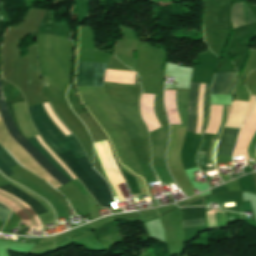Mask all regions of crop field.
Segmentation results:
<instances>
[{"label": "crop field", "instance_id": "8a807250", "mask_svg": "<svg viewBox=\"0 0 256 256\" xmlns=\"http://www.w3.org/2000/svg\"><path fill=\"white\" fill-rule=\"evenodd\" d=\"M48 113L54 122L59 126V128L64 132L65 135L69 134L67 129L62 125V123L58 120V116L56 118L49 106L48 103L44 104ZM43 104L37 105L40 113L46 122L50 125V127L56 132V134L64 141V143L68 146L69 150L72 152L75 158L86 155L83 148L80 146L77 139L73 136V134H69L65 136L63 132L58 128V126L53 122L44 108ZM52 107V106H51ZM29 112L33 121L34 126L46 142V144L56 153H62L68 151L67 146L62 142V140L55 134V132L49 127V125L42 118L41 114L37 110L36 106L29 107ZM53 109V108H52ZM54 111V110H53ZM70 151L62 154H58L57 156L70 168V170L79 178V180L84 184L89 193L95 198L98 204L101 206L107 207L106 201L108 203L109 208L111 209L110 202H113V198L109 189L107 182L93 170L90 166L87 156L77 158L78 163L82 166V168L86 171V173L91 177V179L96 183V185L100 188L104 200L99 188L95 185V183L90 179V177L85 173V171L80 167L77 163L73 155Z\"/></svg>", "mask_w": 256, "mask_h": 256}, {"label": "crop field", "instance_id": "ac0d7876", "mask_svg": "<svg viewBox=\"0 0 256 256\" xmlns=\"http://www.w3.org/2000/svg\"><path fill=\"white\" fill-rule=\"evenodd\" d=\"M0 111L5 124V127L10 136L55 180L61 185L68 182L67 180L54 166H52L28 141L25 139L15 126L14 120L9 112L8 107L5 104L1 86H0Z\"/></svg>", "mask_w": 256, "mask_h": 256}, {"label": "crop field", "instance_id": "34b2d1b8", "mask_svg": "<svg viewBox=\"0 0 256 256\" xmlns=\"http://www.w3.org/2000/svg\"><path fill=\"white\" fill-rule=\"evenodd\" d=\"M193 86H194V83H191L190 97H189V102H188V123H187L188 131H189L190 122H191V101H192ZM200 86H201V84H197V83H195V86H194V94H193V101H192V122H191V128H190V131H193V132H195V129H196L197 103H198V97H199V92H200ZM205 87H206V85L202 84L200 97H199V103H198V122H197L196 133H200V130H201L202 103H203V98H204ZM208 90H209V85H207V87H206L205 98H204V103H203V122H202L201 134L206 129Z\"/></svg>", "mask_w": 256, "mask_h": 256}, {"label": "crop field", "instance_id": "412701ff", "mask_svg": "<svg viewBox=\"0 0 256 256\" xmlns=\"http://www.w3.org/2000/svg\"><path fill=\"white\" fill-rule=\"evenodd\" d=\"M107 65L77 63L76 86H103Z\"/></svg>", "mask_w": 256, "mask_h": 256}, {"label": "crop field", "instance_id": "f4fd0767", "mask_svg": "<svg viewBox=\"0 0 256 256\" xmlns=\"http://www.w3.org/2000/svg\"><path fill=\"white\" fill-rule=\"evenodd\" d=\"M240 129L224 127L216 154L232 155Z\"/></svg>", "mask_w": 256, "mask_h": 256}, {"label": "crop field", "instance_id": "dd49c442", "mask_svg": "<svg viewBox=\"0 0 256 256\" xmlns=\"http://www.w3.org/2000/svg\"><path fill=\"white\" fill-rule=\"evenodd\" d=\"M252 13L247 7V5L245 4V2L233 4V10H232L233 29L256 22V18Z\"/></svg>", "mask_w": 256, "mask_h": 256}, {"label": "crop field", "instance_id": "e52e79f7", "mask_svg": "<svg viewBox=\"0 0 256 256\" xmlns=\"http://www.w3.org/2000/svg\"><path fill=\"white\" fill-rule=\"evenodd\" d=\"M232 75H233V72L216 73L211 94L228 95ZM235 77H236V72H234V75L232 78L229 95H232Z\"/></svg>", "mask_w": 256, "mask_h": 256}, {"label": "crop field", "instance_id": "d8731c3e", "mask_svg": "<svg viewBox=\"0 0 256 256\" xmlns=\"http://www.w3.org/2000/svg\"><path fill=\"white\" fill-rule=\"evenodd\" d=\"M0 192H2V193H4V194H6V195H8V196H10V197H12V198H14L13 196H11V195H9V194H7V193L1 191V190H0ZM2 193H0L1 196L6 197V198H8V199L14 201L23 211H25V212L30 216V218L32 219V221L34 222V224H37V221H38V223L40 224L39 219L34 215V213L31 211V209H30L28 206H26L23 202L19 201L18 199L14 198V199L18 200L24 207H26V208L34 215V217L36 218L37 221L35 220V218L33 217V215H32L27 209H25L18 201L14 200V199H12V198H10V197H8V196L2 194ZM0 200H2V201H4V202L8 203V204L11 205L15 210H17V211L21 214V216L24 218V220H25L27 226H28V225H32V222L30 221V219L28 218V216H27L18 206H16L14 203H12V202H10V201H8V200L2 198V197H0ZM2 201H1V202H2ZM4 202H3V203H4ZM6 203H4V204L7 205V206H9V205L6 204ZM9 207H10V206H9ZM12 207H10V209H11L13 212H15V213L19 216V218L21 219L23 225L26 226L25 223H24L23 218H22V217L19 215V213H18L17 211H15ZM40 226H41V225H40Z\"/></svg>", "mask_w": 256, "mask_h": 256}, {"label": "crop field", "instance_id": "5a996713", "mask_svg": "<svg viewBox=\"0 0 256 256\" xmlns=\"http://www.w3.org/2000/svg\"><path fill=\"white\" fill-rule=\"evenodd\" d=\"M39 142L50 152V154L64 167V169L69 173V175L75 179V177L71 174V172L66 168V166L49 150V148L41 141L39 136H37ZM36 137L32 139H28L36 149L49 161L51 162L57 169H59L70 181L73 180L68 173L63 169V167L46 151V149L38 142Z\"/></svg>", "mask_w": 256, "mask_h": 256}, {"label": "crop field", "instance_id": "3316defc", "mask_svg": "<svg viewBox=\"0 0 256 256\" xmlns=\"http://www.w3.org/2000/svg\"><path fill=\"white\" fill-rule=\"evenodd\" d=\"M0 189L16 196L21 201L26 203L28 206L32 208V210L35 212L36 215L47 213V211L38 202H36L30 196L26 195L25 193L15 188L14 186L12 185L4 186V187H0Z\"/></svg>", "mask_w": 256, "mask_h": 256}, {"label": "crop field", "instance_id": "28ad6ade", "mask_svg": "<svg viewBox=\"0 0 256 256\" xmlns=\"http://www.w3.org/2000/svg\"><path fill=\"white\" fill-rule=\"evenodd\" d=\"M18 165L15 159L0 145V171L7 177L15 174L9 168Z\"/></svg>", "mask_w": 256, "mask_h": 256}, {"label": "crop field", "instance_id": "d1516ede", "mask_svg": "<svg viewBox=\"0 0 256 256\" xmlns=\"http://www.w3.org/2000/svg\"><path fill=\"white\" fill-rule=\"evenodd\" d=\"M227 106L212 105L210 122L205 133H211L214 126H218ZM218 127H215L212 134H215Z\"/></svg>", "mask_w": 256, "mask_h": 256}, {"label": "crop field", "instance_id": "22f410ed", "mask_svg": "<svg viewBox=\"0 0 256 256\" xmlns=\"http://www.w3.org/2000/svg\"><path fill=\"white\" fill-rule=\"evenodd\" d=\"M200 225H204L203 218L194 219V220H182V227L200 226Z\"/></svg>", "mask_w": 256, "mask_h": 256}, {"label": "crop field", "instance_id": "cbeb9de0", "mask_svg": "<svg viewBox=\"0 0 256 256\" xmlns=\"http://www.w3.org/2000/svg\"><path fill=\"white\" fill-rule=\"evenodd\" d=\"M9 213H10L9 209L0 204V221L8 218Z\"/></svg>", "mask_w": 256, "mask_h": 256}, {"label": "crop field", "instance_id": "5142ce71", "mask_svg": "<svg viewBox=\"0 0 256 256\" xmlns=\"http://www.w3.org/2000/svg\"><path fill=\"white\" fill-rule=\"evenodd\" d=\"M205 151L206 150H200L199 151V155L197 157V161H198V163H200L201 165L206 167V164H205Z\"/></svg>", "mask_w": 256, "mask_h": 256}, {"label": "crop field", "instance_id": "d9b57169", "mask_svg": "<svg viewBox=\"0 0 256 256\" xmlns=\"http://www.w3.org/2000/svg\"><path fill=\"white\" fill-rule=\"evenodd\" d=\"M253 97H254V96H251L250 104H249L248 111H247L246 118H245L244 122H245V121L248 119V117H249V113H250V109H251Z\"/></svg>", "mask_w": 256, "mask_h": 256}, {"label": "crop field", "instance_id": "733c2abd", "mask_svg": "<svg viewBox=\"0 0 256 256\" xmlns=\"http://www.w3.org/2000/svg\"><path fill=\"white\" fill-rule=\"evenodd\" d=\"M148 167H149V170H150V172H151L153 178L156 180L155 174H154V171H153L152 168H151V165H148Z\"/></svg>", "mask_w": 256, "mask_h": 256}, {"label": "crop field", "instance_id": "4a817a6b", "mask_svg": "<svg viewBox=\"0 0 256 256\" xmlns=\"http://www.w3.org/2000/svg\"><path fill=\"white\" fill-rule=\"evenodd\" d=\"M250 160H252V159H250ZM253 161H255V160H253Z\"/></svg>", "mask_w": 256, "mask_h": 256}, {"label": "crop field", "instance_id": "bc2a9ffb", "mask_svg": "<svg viewBox=\"0 0 256 256\" xmlns=\"http://www.w3.org/2000/svg\"><path fill=\"white\" fill-rule=\"evenodd\" d=\"M135 196H137V195H135ZM135 196H134V197H135Z\"/></svg>", "mask_w": 256, "mask_h": 256}]
</instances>
